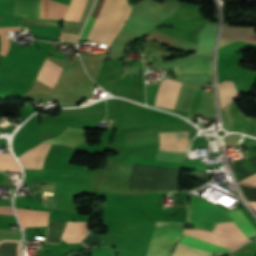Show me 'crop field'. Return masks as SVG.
Returning <instances> with one entry per match:
<instances>
[{"instance_id": "obj_1", "label": "crop field", "mask_w": 256, "mask_h": 256, "mask_svg": "<svg viewBox=\"0 0 256 256\" xmlns=\"http://www.w3.org/2000/svg\"><path fill=\"white\" fill-rule=\"evenodd\" d=\"M234 224L239 228V230L245 235L246 238L250 239L256 236V229L250 223V221L246 218V216L242 213L241 210L228 212ZM184 234L194 236L203 240H207L213 243H217L226 247H230L233 249L238 248L243 242L213 233L207 232L203 230L196 229H185ZM182 236L179 244H183L189 247H193L199 250H203L209 253H227L233 249L226 248L217 244H213L207 241H203L194 237H190L187 235ZM177 245L172 256H211L213 254H209L203 251H199L193 248H189L183 245ZM219 254V253H217ZM216 254V255H217Z\"/></svg>"}, {"instance_id": "obj_2", "label": "crop field", "mask_w": 256, "mask_h": 256, "mask_svg": "<svg viewBox=\"0 0 256 256\" xmlns=\"http://www.w3.org/2000/svg\"><path fill=\"white\" fill-rule=\"evenodd\" d=\"M104 2L105 0H96L80 39H88ZM130 11L131 7L128 6L126 0H107L89 40L102 42V46L109 47L124 25Z\"/></svg>"}, {"instance_id": "obj_3", "label": "crop field", "mask_w": 256, "mask_h": 256, "mask_svg": "<svg viewBox=\"0 0 256 256\" xmlns=\"http://www.w3.org/2000/svg\"><path fill=\"white\" fill-rule=\"evenodd\" d=\"M184 226L185 223L154 222L147 256H169Z\"/></svg>"}, {"instance_id": "obj_4", "label": "crop field", "mask_w": 256, "mask_h": 256, "mask_svg": "<svg viewBox=\"0 0 256 256\" xmlns=\"http://www.w3.org/2000/svg\"><path fill=\"white\" fill-rule=\"evenodd\" d=\"M188 221L213 228L216 222L231 220L227 211L190 193Z\"/></svg>"}, {"instance_id": "obj_5", "label": "crop field", "mask_w": 256, "mask_h": 256, "mask_svg": "<svg viewBox=\"0 0 256 256\" xmlns=\"http://www.w3.org/2000/svg\"><path fill=\"white\" fill-rule=\"evenodd\" d=\"M223 128L228 131L240 132L253 136V120L239 110L234 101L220 109Z\"/></svg>"}, {"instance_id": "obj_6", "label": "crop field", "mask_w": 256, "mask_h": 256, "mask_svg": "<svg viewBox=\"0 0 256 256\" xmlns=\"http://www.w3.org/2000/svg\"><path fill=\"white\" fill-rule=\"evenodd\" d=\"M159 19L134 6L121 32L137 37L147 34Z\"/></svg>"}, {"instance_id": "obj_7", "label": "crop field", "mask_w": 256, "mask_h": 256, "mask_svg": "<svg viewBox=\"0 0 256 256\" xmlns=\"http://www.w3.org/2000/svg\"><path fill=\"white\" fill-rule=\"evenodd\" d=\"M52 146L40 143L37 147L29 150L18 159L24 169H42Z\"/></svg>"}, {"instance_id": "obj_8", "label": "crop field", "mask_w": 256, "mask_h": 256, "mask_svg": "<svg viewBox=\"0 0 256 256\" xmlns=\"http://www.w3.org/2000/svg\"><path fill=\"white\" fill-rule=\"evenodd\" d=\"M181 85L179 82L163 80L160 84L154 105L173 109Z\"/></svg>"}, {"instance_id": "obj_9", "label": "crop field", "mask_w": 256, "mask_h": 256, "mask_svg": "<svg viewBox=\"0 0 256 256\" xmlns=\"http://www.w3.org/2000/svg\"><path fill=\"white\" fill-rule=\"evenodd\" d=\"M160 134L159 150L186 152L189 146L188 131Z\"/></svg>"}, {"instance_id": "obj_10", "label": "crop field", "mask_w": 256, "mask_h": 256, "mask_svg": "<svg viewBox=\"0 0 256 256\" xmlns=\"http://www.w3.org/2000/svg\"><path fill=\"white\" fill-rule=\"evenodd\" d=\"M86 141L87 139L85 137L84 129L68 127L57 137L43 142L59 143L75 147L79 144L85 143Z\"/></svg>"}, {"instance_id": "obj_11", "label": "crop field", "mask_w": 256, "mask_h": 256, "mask_svg": "<svg viewBox=\"0 0 256 256\" xmlns=\"http://www.w3.org/2000/svg\"><path fill=\"white\" fill-rule=\"evenodd\" d=\"M15 209L24 230L25 227L47 226L48 224V212L30 211L19 208Z\"/></svg>"}, {"instance_id": "obj_12", "label": "crop field", "mask_w": 256, "mask_h": 256, "mask_svg": "<svg viewBox=\"0 0 256 256\" xmlns=\"http://www.w3.org/2000/svg\"><path fill=\"white\" fill-rule=\"evenodd\" d=\"M41 0H14V15L39 18Z\"/></svg>"}, {"instance_id": "obj_13", "label": "crop field", "mask_w": 256, "mask_h": 256, "mask_svg": "<svg viewBox=\"0 0 256 256\" xmlns=\"http://www.w3.org/2000/svg\"><path fill=\"white\" fill-rule=\"evenodd\" d=\"M177 74H211V60H195L175 67Z\"/></svg>"}, {"instance_id": "obj_14", "label": "crop field", "mask_w": 256, "mask_h": 256, "mask_svg": "<svg viewBox=\"0 0 256 256\" xmlns=\"http://www.w3.org/2000/svg\"><path fill=\"white\" fill-rule=\"evenodd\" d=\"M61 69L62 67L46 59L36 80L52 88L61 73Z\"/></svg>"}, {"instance_id": "obj_15", "label": "crop field", "mask_w": 256, "mask_h": 256, "mask_svg": "<svg viewBox=\"0 0 256 256\" xmlns=\"http://www.w3.org/2000/svg\"><path fill=\"white\" fill-rule=\"evenodd\" d=\"M221 107H224L232 100L239 99V94L235 90L234 83L231 81H223L219 84Z\"/></svg>"}, {"instance_id": "obj_16", "label": "crop field", "mask_w": 256, "mask_h": 256, "mask_svg": "<svg viewBox=\"0 0 256 256\" xmlns=\"http://www.w3.org/2000/svg\"><path fill=\"white\" fill-rule=\"evenodd\" d=\"M61 115H71V116H105V109H71V110H62Z\"/></svg>"}, {"instance_id": "obj_17", "label": "crop field", "mask_w": 256, "mask_h": 256, "mask_svg": "<svg viewBox=\"0 0 256 256\" xmlns=\"http://www.w3.org/2000/svg\"><path fill=\"white\" fill-rule=\"evenodd\" d=\"M156 137H158V134L154 130H145L134 133H128L125 136L124 143L136 142Z\"/></svg>"}, {"instance_id": "obj_18", "label": "crop field", "mask_w": 256, "mask_h": 256, "mask_svg": "<svg viewBox=\"0 0 256 256\" xmlns=\"http://www.w3.org/2000/svg\"><path fill=\"white\" fill-rule=\"evenodd\" d=\"M85 1L86 0H78V3H77V0H72L70 7L67 11V14L65 16V20H71L72 15L75 10L76 3H77V7H76L75 13H74L71 21L78 22L80 19L81 13L83 11V8H84Z\"/></svg>"}, {"instance_id": "obj_19", "label": "crop field", "mask_w": 256, "mask_h": 256, "mask_svg": "<svg viewBox=\"0 0 256 256\" xmlns=\"http://www.w3.org/2000/svg\"><path fill=\"white\" fill-rule=\"evenodd\" d=\"M0 170L20 172L19 166L15 163L10 153H0Z\"/></svg>"}, {"instance_id": "obj_20", "label": "crop field", "mask_w": 256, "mask_h": 256, "mask_svg": "<svg viewBox=\"0 0 256 256\" xmlns=\"http://www.w3.org/2000/svg\"><path fill=\"white\" fill-rule=\"evenodd\" d=\"M2 239H21V232L16 231H8V230H0V240Z\"/></svg>"}, {"instance_id": "obj_21", "label": "crop field", "mask_w": 256, "mask_h": 256, "mask_svg": "<svg viewBox=\"0 0 256 256\" xmlns=\"http://www.w3.org/2000/svg\"><path fill=\"white\" fill-rule=\"evenodd\" d=\"M241 182L244 183H249V184H255L256 185V174L242 180ZM247 201L251 204V206L255 209L256 211V200H249L247 199Z\"/></svg>"}, {"instance_id": "obj_22", "label": "crop field", "mask_w": 256, "mask_h": 256, "mask_svg": "<svg viewBox=\"0 0 256 256\" xmlns=\"http://www.w3.org/2000/svg\"><path fill=\"white\" fill-rule=\"evenodd\" d=\"M78 35L68 34V33H62L60 36L61 41L65 42H72L75 43Z\"/></svg>"}, {"instance_id": "obj_23", "label": "crop field", "mask_w": 256, "mask_h": 256, "mask_svg": "<svg viewBox=\"0 0 256 256\" xmlns=\"http://www.w3.org/2000/svg\"><path fill=\"white\" fill-rule=\"evenodd\" d=\"M0 214L14 215L11 206H0Z\"/></svg>"}, {"instance_id": "obj_24", "label": "crop field", "mask_w": 256, "mask_h": 256, "mask_svg": "<svg viewBox=\"0 0 256 256\" xmlns=\"http://www.w3.org/2000/svg\"><path fill=\"white\" fill-rule=\"evenodd\" d=\"M46 237H47V235H46ZM45 241H46V239H45Z\"/></svg>"}]
</instances>
